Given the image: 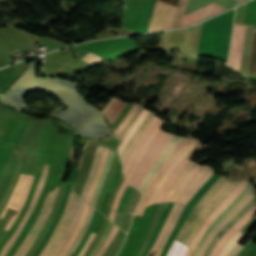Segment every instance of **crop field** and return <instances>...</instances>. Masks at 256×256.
<instances>
[{
	"label": "crop field",
	"instance_id": "39",
	"mask_svg": "<svg viewBox=\"0 0 256 256\" xmlns=\"http://www.w3.org/2000/svg\"><path fill=\"white\" fill-rule=\"evenodd\" d=\"M144 110V107L140 106L135 116L130 120V122L125 126V128L122 130V132L117 137L118 139L122 140V138L125 136V134L128 132L130 127L133 125L137 117L141 114V112Z\"/></svg>",
	"mask_w": 256,
	"mask_h": 256
},
{
	"label": "crop field",
	"instance_id": "2",
	"mask_svg": "<svg viewBox=\"0 0 256 256\" xmlns=\"http://www.w3.org/2000/svg\"><path fill=\"white\" fill-rule=\"evenodd\" d=\"M79 199L80 197H78L73 191H71L66 208H65L64 215L62 214L63 217L61 218L57 228L55 229L54 233L50 237L46 246L38 256H51L53 254L62 236L64 235L65 231L67 230L69 224L71 223L75 215V212L78 207Z\"/></svg>",
	"mask_w": 256,
	"mask_h": 256
},
{
	"label": "crop field",
	"instance_id": "21",
	"mask_svg": "<svg viewBox=\"0 0 256 256\" xmlns=\"http://www.w3.org/2000/svg\"><path fill=\"white\" fill-rule=\"evenodd\" d=\"M155 116L154 113L150 112L149 115L146 117V119L144 120V122L141 124V126L139 127V129L136 131V133L133 135V137L131 138L130 142L128 143L127 147L125 148V150L122 152L121 154V161H122V165L125 161V159L127 158L132 146L134 145V143L136 142V140L138 139L140 133L142 132V130L145 128V126L150 122V120Z\"/></svg>",
	"mask_w": 256,
	"mask_h": 256
},
{
	"label": "crop field",
	"instance_id": "25",
	"mask_svg": "<svg viewBox=\"0 0 256 256\" xmlns=\"http://www.w3.org/2000/svg\"><path fill=\"white\" fill-rule=\"evenodd\" d=\"M113 154H114V151L110 150V152H109V154L107 156V161H106L105 168H104L103 173H102V175H101V177H100V179H99V181H98V183L96 185V188H95V191H94L91 203H90V205L93 206V207L95 206V202H96L97 196L99 194L100 188H101L102 183L104 181V178H105V176L107 174V171H108V169L110 167V164H111V162L113 160Z\"/></svg>",
	"mask_w": 256,
	"mask_h": 256
},
{
	"label": "crop field",
	"instance_id": "27",
	"mask_svg": "<svg viewBox=\"0 0 256 256\" xmlns=\"http://www.w3.org/2000/svg\"><path fill=\"white\" fill-rule=\"evenodd\" d=\"M210 169V167L204 165L199 173L193 178V180L188 184V186L181 193L179 198L176 200L178 203H182L188 193L193 189V187L198 183V181L203 177V175Z\"/></svg>",
	"mask_w": 256,
	"mask_h": 256
},
{
	"label": "crop field",
	"instance_id": "48",
	"mask_svg": "<svg viewBox=\"0 0 256 256\" xmlns=\"http://www.w3.org/2000/svg\"><path fill=\"white\" fill-rule=\"evenodd\" d=\"M191 253H192L191 250L188 249V251L186 252L185 256H189Z\"/></svg>",
	"mask_w": 256,
	"mask_h": 256
},
{
	"label": "crop field",
	"instance_id": "41",
	"mask_svg": "<svg viewBox=\"0 0 256 256\" xmlns=\"http://www.w3.org/2000/svg\"><path fill=\"white\" fill-rule=\"evenodd\" d=\"M82 59H84L85 61L89 62L90 64H92L94 66L102 64L104 62H107V61L103 60L102 58H100L94 54H91V53L85 55Z\"/></svg>",
	"mask_w": 256,
	"mask_h": 256
},
{
	"label": "crop field",
	"instance_id": "11",
	"mask_svg": "<svg viewBox=\"0 0 256 256\" xmlns=\"http://www.w3.org/2000/svg\"><path fill=\"white\" fill-rule=\"evenodd\" d=\"M197 142V140H193L191 139L184 147L183 149L180 151V153L176 156V158L173 160V162L170 164V166L168 167V169L166 170V172L163 174V176L161 177L160 181L158 182V184L156 185L154 191L152 192L147 205L153 204L156 195L158 193V191L160 190V188L162 187L163 183L165 182V180L167 179V177L170 175V173L175 169V167L178 165V163L185 157V155L190 151V149L195 145V143ZM146 205V206H147Z\"/></svg>",
	"mask_w": 256,
	"mask_h": 256
},
{
	"label": "crop field",
	"instance_id": "28",
	"mask_svg": "<svg viewBox=\"0 0 256 256\" xmlns=\"http://www.w3.org/2000/svg\"><path fill=\"white\" fill-rule=\"evenodd\" d=\"M179 207H180V204L174 203V205H173V207H172V209H171V211H170V214H169L168 218L166 219V221H165V223H164V225H163V227H162V229H161V231H160V233H159V235H158V237H157V240H156V242L154 243V245H153L151 251L149 252L148 256H149L153 251H155V250L157 249V247H158V245H159V243H160V241H161V239H162V237H163V235H164V233H165V231H166V229H167L169 223L171 222V220H172L174 214H176V212H177V210L179 209Z\"/></svg>",
	"mask_w": 256,
	"mask_h": 256
},
{
	"label": "crop field",
	"instance_id": "32",
	"mask_svg": "<svg viewBox=\"0 0 256 256\" xmlns=\"http://www.w3.org/2000/svg\"><path fill=\"white\" fill-rule=\"evenodd\" d=\"M94 212V208L90 207V210H89V214H88V217L86 219V222H85V225L82 227L80 233L78 234L75 242L73 243V245L71 246V248L69 249V251L67 252V254L65 256H70L74 250L76 249V247L78 246L80 240L82 239L83 235L85 234L88 226H89V223L91 221V217H92V214Z\"/></svg>",
	"mask_w": 256,
	"mask_h": 256
},
{
	"label": "crop field",
	"instance_id": "12",
	"mask_svg": "<svg viewBox=\"0 0 256 256\" xmlns=\"http://www.w3.org/2000/svg\"><path fill=\"white\" fill-rule=\"evenodd\" d=\"M253 187L249 184L241 193H239L236 198L227 206V208L220 214V216L211 224V226L206 230L201 240L195 247L193 253L196 256L199 252L202 244L211 234L213 229L219 224V222L232 210V208L252 189Z\"/></svg>",
	"mask_w": 256,
	"mask_h": 256
},
{
	"label": "crop field",
	"instance_id": "5",
	"mask_svg": "<svg viewBox=\"0 0 256 256\" xmlns=\"http://www.w3.org/2000/svg\"><path fill=\"white\" fill-rule=\"evenodd\" d=\"M33 177L26 176V175H20L18 182L14 188V191L10 197V200L1 214L0 218H2L7 210L8 207L17 209V213L13 215L8 223V225L5 227V230H9L15 219L17 218L25 200L27 197V194L29 192L31 183H32Z\"/></svg>",
	"mask_w": 256,
	"mask_h": 256
},
{
	"label": "crop field",
	"instance_id": "26",
	"mask_svg": "<svg viewBox=\"0 0 256 256\" xmlns=\"http://www.w3.org/2000/svg\"><path fill=\"white\" fill-rule=\"evenodd\" d=\"M108 150H109L108 148H105V147L103 148V152H102V155H101V159H100V162H99V165H98L97 172L95 174L93 183H92V185H91V187H90V189L88 191V194H87L86 201L88 203H90V200H91V197H92V194H93L96 182H97V180H98L99 176L101 175L102 170L104 168L105 160H106V156H107Z\"/></svg>",
	"mask_w": 256,
	"mask_h": 256
},
{
	"label": "crop field",
	"instance_id": "22",
	"mask_svg": "<svg viewBox=\"0 0 256 256\" xmlns=\"http://www.w3.org/2000/svg\"><path fill=\"white\" fill-rule=\"evenodd\" d=\"M149 113V111L144 110L142 112V114L138 117V119L136 120V122L134 123V125L131 127V129L129 130V132L126 134V136L124 137V139L122 140V142L120 143L119 147H118V151H119V157L121 152L123 151V149L126 147L128 141L130 140V138L132 137V135L135 133V131L138 129V127L140 126V124L142 123V121L145 119V117L147 116V114Z\"/></svg>",
	"mask_w": 256,
	"mask_h": 256
},
{
	"label": "crop field",
	"instance_id": "7",
	"mask_svg": "<svg viewBox=\"0 0 256 256\" xmlns=\"http://www.w3.org/2000/svg\"><path fill=\"white\" fill-rule=\"evenodd\" d=\"M246 25L234 24L228 65L239 71Z\"/></svg>",
	"mask_w": 256,
	"mask_h": 256
},
{
	"label": "crop field",
	"instance_id": "47",
	"mask_svg": "<svg viewBox=\"0 0 256 256\" xmlns=\"http://www.w3.org/2000/svg\"><path fill=\"white\" fill-rule=\"evenodd\" d=\"M241 248L242 246L236 244V246L232 249V251L228 254V256H234Z\"/></svg>",
	"mask_w": 256,
	"mask_h": 256
},
{
	"label": "crop field",
	"instance_id": "49",
	"mask_svg": "<svg viewBox=\"0 0 256 256\" xmlns=\"http://www.w3.org/2000/svg\"><path fill=\"white\" fill-rule=\"evenodd\" d=\"M242 2L245 1V0H241Z\"/></svg>",
	"mask_w": 256,
	"mask_h": 256
},
{
	"label": "crop field",
	"instance_id": "1",
	"mask_svg": "<svg viewBox=\"0 0 256 256\" xmlns=\"http://www.w3.org/2000/svg\"><path fill=\"white\" fill-rule=\"evenodd\" d=\"M240 182V180L232 182L221 176L194 206L176 238L189 246L203 223ZM177 239H175L167 256H184L187 247L182 245Z\"/></svg>",
	"mask_w": 256,
	"mask_h": 256
},
{
	"label": "crop field",
	"instance_id": "37",
	"mask_svg": "<svg viewBox=\"0 0 256 256\" xmlns=\"http://www.w3.org/2000/svg\"><path fill=\"white\" fill-rule=\"evenodd\" d=\"M126 184L123 182V184L121 185L120 189L118 190L117 194H116V197H115V201H114V205H113V208L111 210V213H110V217L109 219L113 222L114 221V217H115V213H116V208H117V205L120 201V198L123 194V191L124 189L126 188Z\"/></svg>",
	"mask_w": 256,
	"mask_h": 256
},
{
	"label": "crop field",
	"instance_id": "20",
	"mask_svg": "<svg viewBox=\"0 0 256 256\" xmlns=\"http://www.w3.org/2000/svg\"><path fill=\"white\" fill-rule=\"evenodd\" d=\"M84 201L81 199L80 200V204H79V208H78V211L71 223V225L69 226L68 230L66 231L60 245L58 246V248L56 249V251L54 252V254L52 256H58L59 253L61 252V250L63 249V247L65 246L66 242L68 241L69 237L71 236L77 222H78V219L82 213V210H83V206H84Z\"/></svg>",
	"mask_w": 256,
	"mask_h": 256
},
{
	"label": "crop field",
	"instance_id": "46",
	"mask_svg": "<svg viewBox=\"0 0 256 256\" xmlns=\"http://www.w3.org/2000/svg\"><path fill=\"white\" fill-rule=\"evenodd\" d=\"M114 100H115V98L110 97L109 100L106 102V104L103 106V108L101 110L103 111L104 114L107 111V109L109 108V106L113 103Z\"/></svg>",
	"mask_w": 256,
	"mask_h": 256
},
{
	"label": "crop field",
	"instance_id": "42",
	"mask_svg": "<svg viewBox=\"0 0 256 256\" xmlns=\"http://www.w3.org/2000/svg\"><path fill=\"white\" fill-rule=\"evenodd\" d=\"M118 227H116L115 225L113 226V229L109 235V237L107 238L106 242L104 243V245L102 246V248L100 249L99 253L97 254V256H101L103 254V252L105 251V249L107 248V246L110 244V242L112 241V239L114 238V236L116 235L117 231H118Z\"/></svg>",
	"mask_w": 256,
	"mask_h": 256
},
{
	"label": "crop field",
	"instance_id": "19",
	"mask_svg": "<svg viewBox=\"0 0 256 256\" xmlns=\"http://www.w3.org/2000/svg\"><path fill=\"white\" fill-rule=\"evenodd\" d=\"M160 119H158L156 116L151 120V122L147 125V127L144 129V131L141 133L139 139L137 140L136 144L134 145L132 151L130 152L128 158L126 159L123 169L122 171L124 172V174L126 175L132 160L137 152V150L139 149L140 145L142 144V142L144 141V139L146 138V136L149 134V132L152 130V128L157 124V122Z\"/></svg>",
	"mask_w": 256,
	"mask_h": 256
},
{
	"label": "crop field",
	"instance_id": "6",
	"mask_svg": "<svg viewBox=\"0 0 256 256\" xmlns=\"http://www.w3.org/2000/svg\"><path fill=\"white\" fill-rule=\"evenodd\" d=\"M169 136H170V134H167L161 130L159 132V134L155 137V139L150 144L142 162L140 163V165L138 166V168L136 169V171L134 173V176L130 182L131 186L136 187L140 178L146 171L147 167L149 166V164L151 163V161L153 160V158L158 153V151L162 147L163 143Z\"/></svg>",
	"mask_w": 256,
	"mask_h": 256
},
{
	"label": "crop field",
	"instance_id": "24",
	"mask_svg": "<svg viewBox=\"0 0 256 256\" xmlns=\"http://www.w3.org/2000/svg\"><path fill=\"white\" fill-rule=\"evenodd\" d=\"M188 160L183 159L182 162L177 166V168L174 170V172L171 174V176L168 178V180L165 182L163 188L161 189L156 201L160 202L172 182L175 180V178L178 176V174L181 172V170L184 168V166L187 164ZM164 198V197H163ZM163 200V199H162Z\"/></svg>",
	"mask_w": 256,
	"mask_h": 256
},
{
	"label": "crop field",
	"instance_id": "16",
	"mask_svg": "<svg viewBox=\"0 0 256 256\" xmlns=\"http://www.w3.org/2000/svg\"><path fill=\"white\" fill-rule=\"evenodd\" d=\"M165 122L164 121H160L158 123V125L153 129V131L149 134V136L146 138V140L143 142L139 152L137 153V155L135 156L132 166L125 178V182L129 183L135 169L137 168L140 160L142 159V157L144 156L149 144L151 143V141L154 139V137L157 135V133L160 131V128L163 126Z\"/></svg>",
	"mask_w": 256,
	"mask_h": 256
},
{
	"label": "crop field",
	"instance_id": "33",
	"mask_svg": "<svg viewBox=\"0 0 256 256\" xmlns=\"http://www.w3.org/2000/svg\"><path fill=\"white\" fill-rule=\"evenodd\" d=\"M184 207L185 206L181 205L180 209L178 210L177 214L175 215L173 221L171 222V224H170V226H169V228H168V230H167V232H166V234H165V236H164V238H163V240H162V242L160 244L161 247H164V245H165V243H166V241H167L171 231L173 230L174 226L177 224V222H178V220H179V218H180V216L182 214V211H183ZM161 247H158V249H157V251H156L154 256H159L160 255V253H161V251L163 249Z\"/></svg>",
	"mask_w": 256,
	"mask_h": 256
},
{
	"label": "crop field",
	"instance_id": "31",
	"mask_svg": "<svg viewBox=\"0 0 256 256\" xmlns=\"http://www.w3.org/2000/svg\"><path fill=\"white\" fill-rule=\"evenodd\" d=\"M126 103L122 102L120 99H116V101L113 103V105L110 107V109L105 114L109 122L112 123L117 118L119 113L122 111V109L125 107Z\"/></svg>",
	"mask_w": 256,
	"mask_h": 256
},
{
	"label": "crop field",
	"instance_id": "35",
	"mask_svg": "<svg viewBox=\"0 0 256 256\" xmlns=\"http://www.w3.org/2000/svg\"><path fill=\"white\" fill-rule=\"evenodd\" d=\"M214 174L212 168L204 175V177L200 180V182L195 186V188L190 192V194L183 201L184 204H187L190 199L195 195L198 189ZM200 190V189H199Z\"/></svg>",
	"mask_w": 256,
	"mask_h": 256
},
{
	"label": "crop field",
	"instance_id": "30",
	"mask_svg": "<svg viewBox=\"0 0 256 256\" xmlns=\"http://www.w3.org/2000/svg\"><path fill=\"white\" fill-rule=\"evenodd\" d=\"M102 148L101 146H98L97 147V151H96V154H95V157H94V161H93V165H92V169H91V173H90V176L82 190V194H81V197L82 198H86V194H87V190L93 180V177H94V174L96 172V168H97V164H98V161H99V158H100V155H101V151H102Z\"/></svg>",
	"mask_w": 256,
	"mask_h": 256
},
{
	"label": "crop field",
	"instance_id": "34",
	"mask_svg": "<svg viewBox=\"0 0 256 256\" xmlns=\"http://www.w3.org/2000/svg\"><path fill=\"white\" fill-rule=\"evenodd\" d=\"M195 163L189 161V163L187 164V166L184 168V170L180 173V175L177 177V179L174 181V183L172 184V186L170 187L169 191L167 192L163 202H168L170 197L172 196L174 190L176 189V187L178 186V184L180 183V181L183 179V177L186 175V173L191 169V167L194 165Z\"/></svg>",
	"mask_w": 256,
	"mask_h": 256
},
{
	"label": "crop field",
	"instance_id": "15",
	"mask_svg": "<svg viewBox=\"0 0 256 256\" xmlns=\"http://www.w3.org/2000/svg\"><path fill=\"white\" fill-rule=\"evenodd\" d=\"M254 199L251 200L231 221H229L223 228H221L218 233L214 236L212 241L210 242L209 246L205 250L203 256H209L213 247L216 245V243L219 241L221 236L227 232L237 221H239L254 205H255Z\"/></svg>",
	"mask_w": 256,
	"mask_h": 256
},
{
	"label": "crop field",
	"instance_id": "18",
	"mask_svg": "<svg viewBox=\"0 0 256 256\" xmlns=\"http://www.w3.org/2000/svg\"><path fill=\"white\" fill-rule=\"evenodd\" d=\"M180 139V136L175 135L172 140L169 142V144L167 145V147L164 149V151L162 152V154L160 155V157L157 159V161L155 162V164L153 165L152 169L150 170V172L148 173V175L146 176V178L144 179V181L142 182L141 186L139 187V191L143 192V190L147 187L148 183L150 182V180L152 179L153 175L155 174V172L157 171V169L159 168V166L163 163V161L166 159V157L168 156V154L170 153V151L173 149V147L177 144L178 140Z\"/></svg>",
	"mask_w": 256,
	"mask_h": 256
},
{
	"label": "crop field",
	"instance_id": "38",
	"mask_svg": "<svg viewBox=\"0 0 256 256\" xmlns=\"http://www.w3.org/2000/svg\"><path fill=\"white\" fill-rule=\"evenodd\" d=\"M138 108V105L134 104V106L132 107V109L130 110V112L127 114V116L125 117V119L119 124V126L116 128V130L114 131L116 137L117 135L120 133V131L123 129V127L129 122V120L134 116L136 110Z\"/></svg>",
	"mask_w": 256,
	"mask_h": 256
},
{
	"label": "crop field",
	"instance_id": "36",
	"mask_svg": "<svg viewBox=\"0 0 256 256\" xmlns=\"http://www.w3.org/2000/svg\"><path fill=\"white\" fill-rule=\"evenodd\" d=\"M242 238L240 232H238L223 248L219 256H226L236 243Z\"/></svg>",
	"mask_w": 256,
	"mask_h": 256
},
{
	"label": "crop field",
	"instance_id": "17",
	"mask_svg": "<svg viewBox=\"0 0 256 256\" xmlns=\"http://www.w3.org/2000/svg\"><path fill=\"white\" fill-rule=\"evenodd\" d=\"M256 212V206L253 207L233 228H231L217 243L215 246L212 254L210 256H218L223 246L230 240V238L236 234L241 227L249 221V219L254 215Z\"/></svg>",
	"mask_w": 256,
	"mask_h": 256
},
{
	"label": "crop field",
	"instance_id": "10",
	"mask_svg": "<svg viewBox=\"0 0 256 256\" xmlns=\"http://www.w3.org/2000/svg\"><path fill=\"white\" fill-rule=\"evenodd\" d=\"M224 10H226V9L220 7L219 5H217L213 2L210 5L202 8V9H199V10L194 11L188 15H185L183 18L181 27L197 23V22L202 21L206 18H209L215 14H218Z\"/></svg>",
	"mask_w": 256,
	"mask_h": 256
},
{
	"label": "crop field",
	"instance_id": "40",
	"mask_svg": "<svg viewBox=\"0 0 256 256\" xmlns=\"http://www.w3.org/2000/svg\"><path fill=\"white\" fill-rule=\"evenodd\" d=\"M249 73L256 75V32H255V35H254V42H253V49H252V56H251V63H250Z\"/></svg>",
	"mask_w": 256,
	"mask_h": 256
},
{
	"label": "crop field",
	"instance_id": "13",
	"mask_svg": "<svg viewBox=\"0 0 256 256\" xmlns=\"http://www.w3.org/2000/svg\"><path fill=\"white\" fill-rule=\"evenodd\" d=\"M247 185H248V183L242 181L240 183V185L229 195V197L216 209V211L212 214V216L204 223V225H203L202 229L200 230L199 234L197 235V237L194 239V241L189 246L192 249V251H193L194 247L196 246V244L198 243L201 236L203 235L204 231L218 217V215L226 208V206L233 200V198L239 192H241Z\"/></svg>",
	"mask_w": 256,
	"mask_h": 256
},
{
	"label": "crop field",
	"instance_id": "29",
	"mask_svg": "<svg viewBox=\"0 0 256 256\" xmlns=\"http://www.w3.org/2000/svg\"><path fill=\"white\" fill-rule=\"evenodd\" d=\"M88 210H89V205L87 203H85V207H84V211H83V214L76 226V229L74 231V233L72 234V236L70 237L69 241L67 242L66 246L64 247L63 251L61 252V254L59 256H64L67 252V250L69 249V247L71 246V244L73 243L74 239L76 238L79 230L81 229V227L83 226L84 224V221H85V218L87 216V213H88Z\"/></svg>",
	"mask_w": 256,
	"mask_h": 256
},
{
	"label": "crop field",
	"instance_id": "8",
	"mask_svg": "<svg viewBox=\"0 0 256 256\" xmlns=\"http://www.w3.org/2000/svg\"><path fill=\"white\" fill-rule=\"evenodd\" d=\"M47 171H48V165L44 164L43 166V171H42V175H41V178L39 180V183L36 187V190H35V194H34V197L32 199V202L30 204V208L28 209L24 219L22 220V222L20 223V225L17 227L15 233L12 235V237L8 240V242L5 244L4 248L2 249L1 253H0V256H5L9 249L11 248V246L13 245L14 241L16 240V238L18 237L20 231L22 230L24 224L26 223L27 219L29 218L33 208L35 207L37 201H38V198H39V195L42 191V188H43V184H44V181L46 179V175H47Z\"/></svg>",
	"mask_w": 256,
	"mask_h": 256
},
{
	"label": "crop field",
	"instance_id": "3",
	"mask_svg": "<svg viewBox=\"0 0 256 256\" xmlns=\"http://www.w3.org/2000/svg\"><path fill=\"white\" fill-rule=\"evenodd\" d=\"M57 189L47 193L43 206L36 217L35 221L33 222L24 242L16 251L13 256H24L30 247L35 242L36 238L38 237L39 233L41 232L47 218L49 217L52 206L56 197Z\"/></svg>",
	"mask_w": 256,
	"mask_h": 256
},
{
	"label": "crop field",
	"instance_id": "23",
	"mask_svg": "<svg viewBox=\"0 0 256 256\" xmlns=\"http://www.w3.org/2000/svg\"><path fill=\"white\" fill-rule=\"evenodd\" d=\"M201 169V166L195 165L189 173L184 177V179L181 181L177 189L175 190L173 196L171 197L170 201L175 202L177 197L180 195V193L183 191V189L187 186V184L191 181V179L197 174V172Z\"/></svg>",
	"mask_w": 256,
	"mask_h": 256
},
{
	"label": "crop field",
	"instance_id": "4",
	"mask_svg": "<svg viewBox=\"0 0 256 256\" xmlns=\"http://www.w3.org/2000/svg\"><path fill=\"white\" fill-rule=\"evenodd\" d=\"M186 3L187 0H180L178 7L185 8ZM176 9L177 8L174 6L168 5L157 0L152 14L148 32L171 28L176 13Z\"/></svg>",
	"mask_w": 256,
	"mask_h": 256
},
{
	"label": "crop field",
	"instance_id": "44",
	"mask_svg": "<svg viewBox=\"0 0 256 256\" xmlns=\"http://www.w3.org/2000/svg\"><path fill=\"white\" fill-rule=\"evenodd\" d=\"M173 137V134L166 140L165 144L163 145V147L161 148V150L159 151V153L156 155V157L154 158V160L152 161V163L150 164V166L148 167L147 171L145 172V174L143 175V177L141 178L137 189L139 187V185L141 184L143 178L145 177V175L147 174V172L150 170V168L152 167L153 163L156 161V159L158 158V156L160 155V153L162 152V150L165 148V146L167 145V143L170 141V139Z\"/></svg>",
	"mask_w": 256,
	"mask_h": 256
},
{
	"label": "crop field",
	"instance_id": "50",
	"mask_svg": "<svg viewBox=\"0 0 256 256\" xmlns=\"http://www.w3.org/2000/svg\"><path fill=\"white\" fill-rule=\"evenodd\" d=\"M191 256H193V254H191Z\"/></svg>",
	"mask_w": 256,
	"mask_h": 256
},
{
	"label": "crop field",
	"instance_id": "45",
	"mask_svg": "<svg viewBox=\"0 0 256 256\" xmlns=\"http://www.w3.org/2000/svg\"><path fill=\"white\" fill-rule=\"evenodd\" d=\"M95 234L94 233H91L90 237L88 238L85 246L83 247V249L80 251L79 255L78 256H83L85 251L87 250L88 246L90 245L91 241L93 240Z\"/></svg>",
	"mask_w": 256,
	"mask_h": 256
},
{
	"label": "crop field",
	"instance_id": "9",
	"mask_svg": "<svg viewBox=\"0 0 256 256\" xmlns=\"http://www.w3.org/2000/svg\"><path fill=\"white\" fill-rule=\"evenodd\" d=\"M190 139H181L179 144L176 146L174 151L171 153V155L168 157V159L165 161V163L162 165V167L159 169L158 173L156 174L155 178L153 181L150 183V185L147 187L146 192L138 206V210L136 214H142L144 207L147 203V200L154 189L155 185L159 181L160 177L162 174L165 172L169 164L172 162V160L175 158V156L178 154V152L182 149V147L189 141Z\"/></svg>",
	"mask_w": 256,
	"mask_h": 256
},
{
	"label": "crop field",
	"instance_id": "14",
	"mask_svg": "<svg viewBox=\"0 0 256 256\" xmlns=\"http://www.w3.org/2000/svg\"><path fill=\"white\" fill-rule=\"evenodd\" d=\"M256 196V192L254 188L233 208V210L221 221V223L214 229L212 234L209 236V238L205 241L203 244L199 254L197 256H202L204 250L208 246L209 242L213 238V236L216 234V232L223 227L232 217H234L251 199H253Z\"/></svg>",
	"mask_w": 256,
	"mask_h": 256
},
{
	"label": "crop field",
	"instance_id": "43",
	"mask_svg": "<svg viewBox=\"0 0 256 256\" xmlns=\"http://www.w3.org/2000/svg\"><path fill=\"white\" fill-rule=\"evenodd\" d=\"M185 9L178 8L172 28L180 27Z\"/></svg>",
	"mask_w": 256,
	"mask_h": 256
}]
</instances>
